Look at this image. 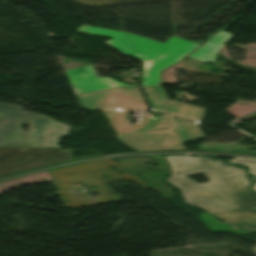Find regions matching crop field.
Segmentation results:
<instances>
[{
	"label": "crop field",
	"mask_w": 256,
	"mask_h": 256,
	"mask_svg": "<svg viewBox=\"0 0 256 256\" xmlns=\"http://www.w3.org/2000/svg\"><path fill=\"white\" fill-rule=\"evenodd\" d=\"M153 111L166 114V94L160 86L142 87Z\"/></svg>",
	"instance_id": "28ad6ade"
},
{
	"label": "crop field",
	"mask_w": 256,
	"mask_h": 256,
	"mask_svg": "<svg viewBox=\"0 0 256 256\" xmlns=\"http://www.w3.org/2000/svg\"><path fill=\"white\" fill-rule=\"evenodd\" d=\"M229 162L241 163L243 165L249 166L248 172L256 175V159L233 157Z\"/></svg>",
	"instance_id": "d1516ede"
},
{
	"label": "crop field",
	"mask_w": 256,
	"mask_h": 256,
	"mask_svg": "<svg viewBox=\"0 0 256 256\" xmlns=\"http://www.w3.org/2000/svg\"><path fill=\"white\" fill-rule=\"evenodd\" d=\"M253 190L256 191V184L252 185Z\"/></svg>",
	"instance_id": "22f410ed"
},
{
	"label": "crop field",
	"mask_w": 256,
	"mask_h": 256,
	"mask_svg": "<svg viewBox=\"0 0 256 256\" xmlns=\"http://www.w3.org/2000/svg\"><path fill=\"white\" fill-rule=\"evenodd\" d=\"M172 166L166 179L182 193L186 204L197 206L224 222L256 230V192L242 168L208 157H165ZM203 173L209 182L198 184L186 176Z\"/></svg>",
	"instance_id": "8a807250"
},
{
	"label": "crop field",
	"mask_w": 256,
	"mask_h": 256,
	"mask_svg": "<svg viewBox=\"0 0 256 256\" xmlns=\"http://www.w3.org/2000/svg\"><path fill=\"white\" fill-rule=\"evenodd\" d=\"M116 138L135 151L185 149L165 116L159 115L155 121L145 119L139 125H127L123 111H103Z\"/></svg>",
	"instance_id": "412701ff"
},
{
	"label": "crop field",
	"mask_w": 256,
	"mask_h": 256,
	"mask_svg": "<svg viewBox=\"0 0 256 256\" xmlns=\"http://www.w3.org/2000/svg\"><path fill=\"white\" fill-rule=\"evenodd\" d=\"M20 124L29 129L24 132ZM69 128L44 116L0 103V146L58 148L59 137L66 136Z\"/></svg>",
	"instance_id": "34b2d1b8"
},
{
	"label": "crop field",
	"mask_w": 256,
	"mask_h": 256,
	"mask_svg": "<svg viewBox=\"0 0 256 256\" xmlns=\"http://www.w3.org/2000/svg\"><path fill=\"white\" fill-rule=\"evenodd\" d=\"M64 72L68 77L75 95L128 85L109 77H97L91 65Z\"/></svg>",
	"instance_id": "e52e79f7"
},
{
	"label": "crop field",
	"mask_w": 256,
	"mask_h": 256,
	"mask_svg": "<svg viewBox=\"0 0 256 256\" xmlns=\"http://www.w3.org/2000/svg\"><path fill=\"white\" fill-rule=\"evenodd\" d=\"M168 112H169V115L171 116H176V117L200 122L205 112V109L180 103V102H176V101H172V100H168Z\"/></svg>",
	"instance_id": "5a996713"
},
{
	"label": "crop field",
	"mask_w": 256,
	"mask_h": 256,
	"mask_svg": "<svg viewBox=\"0 0 256 256\" xmlns=\"http://www.w3.org/2000/svg\"><path fill=\"white\" fill-rule=\"evenodd\" d=\"M81 107L97 109H131L149 111L137 85H128L76 96Z\"/></svg>",
	"instance_id": "dd49c442"
},
{
	"label": "crop field",
	"mask_w": 256,
	"mask_h": 256,
	"mask_svg": "<svg viewBox=\"0 0 256 256\" xmlns=\"http://www.w3.org/2000/svg\"><path fill=\"white\" fill-rule=\"evenodd\" d=\"M76 31L112 37L106 42L125 55L144 61L142 86L159 85L161 70L182 59L200 44L172 36L163 44L133 34L82 25Z\"/></svg>",
	"instance_id": "ac0d7876"
},
{
	"label": "crop field",
	"mask_w": 256,
	"mask_h": 256,
	"mask_svg": "<svg viewBox=\"0 0 256 256\" xmlns=\"http://www.w3.org/2000/svg\"><path fill=\"white\" fill-rule=\"evenodd\" d=\"M231 34L221 31L201 48L195 51L190 57L202 60L204 62H211L217 56L218 49L229 40Z\"/></svg>",
	"instance_id": "d8731c3e"
},
{
	"label": "crop field",
	"mask_w": 256,
	"mask_h": 256,
	"mask_svg": "<svg viewBox=\"0 0 256 256\" xmlns=\"http://www.w3.org/2000/svg\"><path fill=\"white\" fill-rule=\"evenodd\" d=\"M71 150L0 147V176L70 160Z\"/></svg>",
	"instance_id": "f4fd0767"
},
{
	"label": "crop field",
	"mask_w": 256,
	"mask_h": 256,
	"mask_svg": "<svg viewBox=\"0 0 256 256\" xmlns=\"http://www.w3.org/2000/svg\"><path fill=\"white\" fill-rule=\"evenodd\" d=\"M168 118L183 143L204 138V135L198 128L199 124L170 117Z\"/></svg>",
	"instance_id": "3316defc"
}]
</instances>
